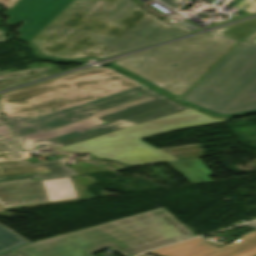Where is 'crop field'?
Instances as JSON below:
<instances>
[{
	"mask_svg": "<svg viewBox=\"0 0 256 256\" xmlns=\"http://www.w3.org/2000/svg\"><path fill=\"white\" fill-rule=\"evenodd\" d=\"M75 200L70 177L0 187V206L5 211Z\"/></svg>",
	"mask_w": 256,
	"mask_h": 256,
	"instance_id": "7",
	"label": "crop field"
},
{
	"mask_svg": "<svg viewBox=\"0 0 256 256\" xmlns=\"http://www.w3.org/2000/svg\"><path fill=\"white\" fill-rule=\"evenodd\" d=\"M20 151L41 144L131 166L177 161L140 141L224 122L175 102L109 67H94L0 95Z\"/></svg>",
	"mask_w": 256,
	"mask_h": 256,
	"instance_id": "1",
	"label": "crop field"
},
{
	"mask_svg": "<svg viewBox=\"0 0 256 256\" xmlns=\"http://www.w3.org/2000/svg\"><path fill=\"white\" fill-rule=\"evenodd\" d=\"M256 26V19L225 27L220 30L214 31L217 35L240 41L253 27Z\"/></svg>",
	"mask_w": 256,
	"mask_h": 256,
	"instance_id": "12",
	"label": "crop field"
},
{
	"mask_svg": "<svg viewBox=\"0 0 256 256\" xmlns=\"http://www.w3.org/2000/svg\"><path fill=\"white\" fill-rule=\"evenodd\" d=\"M195 237L165 209H157L10 251L16 256H92L109 247L132 256L146 249Z\"/></svg>",
	"mask_w": 256,
	"mask_h": 256,
	"instance_id": "3",
	"label": "crop field"
},
{
	"mask_svg": "<svg viewBox=\"0 0 256 256\" xmlns=\"http://www.w3.org/2000/svg\"><path fill=\"white\" fill-rule=\"evenodd\" d=\"M137 7L128 0H73L30 42L47 56L105 58L191 32Z\"/></svg>",
	"mask_w": 256,
	"mask_h": 256,
	"instance_id": "2",
	"label": "crop field"
},
{
	"mask_svg": "<svg viewBox=\"0 0 256 256\" xmlns=\"http://www.w3.org/2000/svg\"><path fill=\"white\" fill-rule=\"evenodd\" d=\"M8 137L11 136L0 114V185L77 174L64 163L67 157L36 164H30L28 159L20 160L13 144L6 142Z\"/></svg>",
	"mask_w": 256,
	"mask_h": 256,
	"instance_id": "6",
	"label": "crop field"
},
{
	"mask_svg": "<svg viewBox=\"0 0 256 256\" xmlns=\"http://www.w3.org/2000/svg\"><path fill=\"white\" fill-rule=\"evenodd\" d=\"M162 1H164L165 3L175 8L178 5H180L184 0H162Z\"/></svg>",
	"mask_w": 256,
	"mask_h": 256,
	"instance_id": "20",
	"label": "crop field"
},
{
	"mask_svg": "<svg viewBox=\"0 0 256 256\" xmlns=\"http://www.w3.org/2000/svg\"><path fill=\"white\" fill-rule=\"evenodd\" d=\"M0 211H4L2 208H0Z\"/></svg>",
	"mask_w": 256,
	"mask_h": 256,
	"instance_id": "25",
	"label": "crop field"
},
{
	"mask_svg": "<svg viewBox=\"0 0 256 256\" xmlns=\"http://www.w3.org/2000/svg\"><path fill=\"white\" fill-rule=\"evenodd\" d=\"M200 147H202L201 144H198V145L163 149L162 151H164L180 160H185V159L204 157L202 149H200ZM183 155H186V157H183Z\"/></svg>",
	"mask_w": 256,
	"mask_h": 256,
	"instance_id": "14",
	"label": "crop field"
},
{
	"mask_svg": "<svg viewBox=\"0 0 256 256\" xmlns=\"http://www.w3.org/2000/svg\"><path fill=\"white\" fill-rule=\"evenodd\" d=\"M2 42H6V38H5L3 30L0 29V43H2Z\"/></svg>",
	"mask_w": 256,
	"mask_h": 256,
	"instance_id": "21",
	"label": "crop field"
},
{
	"mask_svg": "<svg viewBox=\"0 0 256 256\" xmlns=\"http://www.w3.org/2000/svg\"><path fill=\"white\" fill-rule=\"evenodd\" d=\"M23 157H29L30 153L21 154Z\"/></svg>",
	"mask_w": 256,
	"mask_h": 256,
	"instance_id": "23",
	"label": "crop field"
},
{
	"mask_svg": "<svg viewBox=\"0 0 256 256\" xmlns=\"http://www.w3.org/2000/svg\"><path fill=\"white\" fill-rule=\"evenodd\" d=\"M28 44L32 47L34 53L39 56V57H42V58H46V59H51V60H60V61H85V60H93V61H96L98 59H101V58H81V59H62V58H51V57H47V56H44L42 55L39 50L34 46L32 45L30 42H28Z\"/></svg>",
	"mask_w": 256,
	"mask_h": 256,
	"instance_id": "17",
	"label": "crop field"
},
{
	"mask_svg": "<svg viewBox=\"0 0 256 256\" xmlns=\"http://www.w3.org/2000/svg\"><path fill=\"white\" fill-rule=\"evenodd\" d=\"M51 67L53 69L51 71L47 72V73H43L41 75L33 76V77H26V78H19V79H11V80L0 81V85L30 81V80H34V79H37V78H40V77L51 75V74H54V73H57V72H61V70L59 69V67L57 65L51 66ZM51 67L34 69V70H28V71H21V72H13V73L0 74V79L8 78V77H16V76H25V75L38 74L40 72L48 70ZM14 85H16V84H14ZM10 86H13V85L2 86V87H0V89L6 88V87H10Z\"/></svg>",
	"mask_w": 256,
	"mask_h": 256,
	"instance_id": "11",
	"label": "crop field"
},
{
	"mask_svg": "<svg viewBox=\"0 0 256 256\" xmlns=\"http://www.w3.org/2000/svg\"><path fill=\"white\" fill-rule=\"evenodd\" d=\"M0 256H15V255H13V254L7 252V253H4V254H2V255H0Z\"/></svg>",
	"mask_w": 256,
	"mask_h": 256,
	"instance_id": "22",
	"label": "crop field"
},
{
	"mask_svg": "<svg viewBox=\"0 0 256 256\" xmlns=\"http://www.w3.org/2000/svg\"><path fill=\"white\" fill-rule=\"evenodd\" d=\"M244 6L248 8H244ZM237 9L255 14L256 13V1L255 0H242L235 6Z\"/></svg>",
	"mask_w": 256,
	"mask_h": 256,
	"instance_id": "16",
	"label": "crop field"
},
{
	"mask_svg": "<svg viewBox=\"0 0 256 256\" xmlns=\"http://www.w3.org/2000/svg\"><path fill=\"white\" fill-rule=\"evenodd\" d=\"M241 42L249 43L256 45V27L252 29L242 40Z\"/></svg>",
	"mask_w": 256,
	"mask_h": 256,
	"instance_id": "18",
	"label": "crop field"
},
{
	"mask_svg": "<svg viewBox=\"0 0 256 256\" xmlns=\"http://www.w3.org/2000/svg\"><path fill=\"white\" fill-rule=\"evenodd\" d=\"M250 225H253V226H256V221L255 222H252V223H248Z\"/></svg>",
	"mask_w": 256,
	"mask_h": 256,
	"instance_id": "24",
	"label": "crop field"
},
{
	"mask_svg": "<svg viewBox=\"0 0 256 256\" xmlns=\"http://www.w3.org/2000/svg\"><path fill=\"white\" fill-rule=\"evenodd\" d=\"M168 164L174 170L181 172L192 185L211 181L208 177L212 174L198 159L170 162Z\"/></svg>",
	"mask_w": 256,
	"mask_h": 256,
	"instance_id": "10",
	"label": "crop field"
},
{
	"mask_svg": "<svg viewBox=\"0 0 256 256\" xmlns=\"http://www.w3.org/2000/svg\"><path fill=\"white\" fill-rule=\"evenodd\" d=\"M70 1L21 0L5 14L11 16L5 23L16 25L20 22H26L18 32L22 33L19 39L28 42Z\"/></svg>",
	"mask_w": 256,
	"mask_h": 256,
	"instance_id": "8",
	"label": "crop field"
},
{
	"mask_svg": "<svg viewBox=\"0 0 256 256\" xmlns=\"http://www.w3.org/2000/svg\"><path fill=\"white\" fill-rule=\"evenodd\" d=\"M110 65H112V66H114V67H116V68H118V69H120V70H122V71H124V72H126V73H128V74H130V75H131L132 77H134L135 79H137V80H139V81H141V82H143V83H145V84H147V85H149V86H151V87H153V88H155V89H157V90L163 92L164 94H166V95H168V96H170V97H172V98H174V99H177V100H180V101H182V102H184V103H187V104H189V105H192V104H190V103H188V102H186V101H184V100H182V99H180V98H178V97H176V96H174V95L168 93L167 91H165V90H163V89H161V88H159V87H157V86H155V85H153V84L147 82L146 80H144V79H142V78H140V77H138V76H136V75H134V74H132V73H130V72H128V71H126V70H124V69H122V68H120V67L114 65V64H112V63H110ZM192 106H194V107H196V108H199V109H201V110H203V111H206V112H208V113L217 115V116H237V115H243V114H248V113L256 112V110H251V111H246V112H241V113H235V114H230V115H222V114L212 113V112H210V111H207V110L202 109V108H200V107H197V106H195V105H192Z\"/></svg>",
	"mask_w": 256,
	"mask_h": 256,
	"instance_id": "15",
	"label": "crop field"
},
{
	"mask_svg": "<svg viewBox=\"0 0 256 256\" xmlns=\"http://www.w3.org/2000/svg\"><path fill=\"white\" fill-rule=\"evenodd\" d=\"M18 0H0V3L4 5L5 8L9 9L13 6Z\"/></svg>",
	"mask_w": 256,
	"mask_h": 256,
	"instance_id": "19",
	"label": "crop field"
},
{
	"mask_svg": "<svg viewBox=\"0 0 256 256\" xmlns=\"http://www.w3.org/2000/svg\"><path fill=\"white\" fill-rule=\"evenodd\" d=\"M236 44L209 32L112 63L181 98Z\"/></svg>",
	"mask_w": 256,
	"mask_h": 256,
	"instance_id": "4",
	"label": "crop field"
},
{
	"mask_svg": "<svg viewBox=\"0 0 256 256\" xmlns=\"http://www.w3.org/2000/svg\"><path fill=\"white\" fill-rule=\"evenodd\" d=\"M148 253L160 256H254L256 231L223 249L214 248L197 238Z\"/></svg>",
	"mask_w": 256,
	"mask_h": 256,
	"instance_id": "9",
	"label": "crop field"
},
{
	"mask_svg": "<svg viewBox=\"0 0 256 256\" xmlns=\"http://www.w3.org/2000/svg\"><path fill=\"white\" fill-rule=\"evenodd\" d=\"M29 244L14 233L0 226V254Z\"/></svg>",
	"mask_w": 256,
	"mask_h": 256,
	"instance_id": "13",
	"label": "crop field"
},
{
	"mask_svg": "<svg viewBox=\"0 0 256 256\" xmlns=\"http://www.w3.org/2000/svg\"><path fill=\"white\" fill-rule=\"evenodd\" d=\"M182 99L222 114L256 109V46L239 42Z\"/></svg>",
	"mask_w": 256,
	"mask_h": 256,
	"instance_id": "5",
	"label": "crop field"
}]
</instances>
